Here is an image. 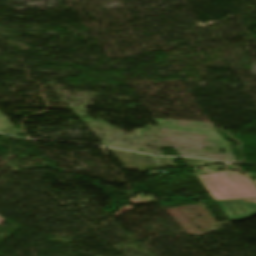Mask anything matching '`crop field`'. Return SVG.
I'll return each instance as SVG.
<instances>
[{
    "instance_id": "412701ff",
    "label": "crop field",
    "mask_w": 256,
    "mask_h": 256,
    "mask_svg": "<svg viewBox=\"0 0 256 256\" xmlns=\"http://www.w3.org/2000/svg\"><path fill=\"white\" fill-rule=\"evenodd\" d=\"M256 182V181H255Z\"/></svg>"
},
{
    "instance_id": "ac0d7876",
    "label": "crop field",
    "mask_w": 256,
    "mask_h": 256,
    "mask_svg": "<svg viewBox=\"0 0 256 256\" xmlns=\"http://www.w3.org/2000/svg\"><path fill=\"white\" fill-rule=\"evenodd\" d=\"M216 203L229 220H239L256 213V199Z\"/></svg>"
},
{
    "instance_id": "8a807250",
    "label": "crop field",
    "mask_w": 256,
    "mask_h": 256,
    "mask_svg": "<svg viewBox=\"0 0 256 256\" xmlns=\"http://www.w3.org/2000/svg\"><path fill=\"white\" fill-rule=\"evenodd\" d=\"M198 178L214 200L256 198L255 184L238 172H218Z\"/></svg>"
},
{
    "instance_id": "34b2d1b8",
    "label": "crop field",
    "mask_w": 256,
    "mask_h": 256,
    "mask_svg": "<svg viewBox=\"0 0 256 256\" xmlns=\"http://www.w3.org/2000/svg\"><path fill=\"white\" fill-rule=\"evenodd\" d=\"M5 221L2 217H0V224H2Z\"/></svg>"
}]
</instances>
